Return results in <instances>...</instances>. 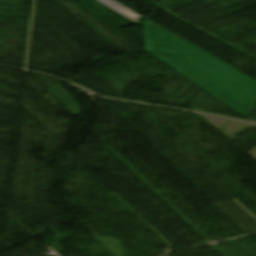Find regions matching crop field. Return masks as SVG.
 <instances>
[{"instance_id": "8a807250", "label": "crop field", "mask_w": 256, "mask_h": 256, "mask_svg": "<svg viewBox=\"0 0 256 256\" xmlns=\"http://www.w3.org/2000/svg\"><path fill=\"white\" fill-rule=\"evenodd\" d=\"M145 51L243 116L256 103V81L147 20Z\"/></svg>"}]
</instances>
